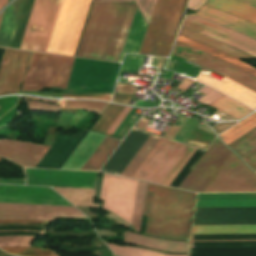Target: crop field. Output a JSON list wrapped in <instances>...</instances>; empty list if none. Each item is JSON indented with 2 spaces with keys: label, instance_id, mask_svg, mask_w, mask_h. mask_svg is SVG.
<instances>
[{
  "label": "crop field",
  "instance_id": "8",
  "mask_svg": "<svg viewBox=\"0 0 256 256\" xmlns=\"http://www.w3.org/2000/svg\"><path fill=\"white\" fill-rule=\"evenodd\" d=\"M203 192H256V175L232 153Z\"/></svg>",
  "mask_w": 256,
  "mask_h": 256
},
{
  "label": "crop field",
  "instance_id": "17",
  "mask_svg": "<svg viewBox=\"0 0 256 256\" xmlns=\"http://www.w3.org/2000/svg\"><path fill=\"white\" fill-rule=\"evenodd\" d=\"M49 147L25 142L0 141V156L21 166L34 168Z\"/></svg>",
  "mask_w": 256,
  "mask_h": 256
},
{
  "label": "crop field",
  "instance_id": "44",
  "mask_svg": "<svg viewBox=\"0 0 256 256\" xmlns=\"http://www.w3.org/2000/svg\"><path fill=\"white\" fill-rule=\"evenodd\" d=\"M135 2L149 23L156 0H135Z\"/></svg>",
  "mask_w": 256,
  "mask_h": 256
},
{
  "label": "crop field",
  "instance_id": "26",
  "mask_svg": "<svg viewBox=\"0 0 256 256\" xmlns=\"http://www.w3.org/2000/svg\"><path fill=\"white\" fill-rule=\"evenodd\" d=\"M118 142L119 140L106 136L82 170L97 171Z\"/></svg>",
  "mask_w": 256,
  "mask_h": 256
},
{
  "label": "crop field",
  "instance_id": "62",
  "mask_svg": "<svg viewBox=\"0 0 256 256\" xmlns=\"http://www.w3.org/2000/svg\"><path fill=\"white\" fill-rule=\"evenodd\" d=\"M7 0H0V10L5 6Z\"/></svg>",
  "mask_w": 256,
  "mask_h": 256
},
{
  "label": "crop field",
  "instance_id": "55",
  "mask_svg": "<svg viewBox=\"0 0 256 256\" xmlns=\"http://www.w3.org/2000/svg\"><path fill=\"white\" fill-rule=\"evenodd\" d=\"M192 83H194V81L185 78V79L182 81V83H181L177 88L185 90V89L188 88Z\"/></svg>",
  "mask_w": 256,
  "mask_h": 256
},
{
  "label": "crop field",
  "instance_id": "40",
  "mask_svg": "<svg viewBox=\"0 0 256 256\" xmlns=\"http://www.w3.org/2000/svg\"><path fill=\"white\" fill-rule=\"evenodd\" d=\"M107 103L94 101H65L64 107H80L82 109L101 113Z\"/></svg>",
  "mask_w": 256,
  "mask_h": 256
},
{
  "label": "crop field",
  "instance_id": "34",
  "mask_svg": "<svg viewBox=\"0 0 256 256\" xmlns=\"http://www.w3.org/2000/svg\"><path fill=\"white\" fill-rule=\"evenodd\" d=\"M214 138L215 136L196 127L195 130L188 137V139L185 141V144L207 149Z\"/></svg>",
  "mask_w": 256,
  "mask_h": 256
},
{
  "label": "crop field",
  "instance_id": "16",
  "mask_svg": "<svg viewBox=\"0 0 256 256\" xmlns=\"http://www.w3.org/2000/svg\"><path fill=\"white\" fill-rule=\"evenodd\" d=\"M149 136L144 131L131 129L100 171L120 175Z\"/></svg>",
  "mask_w": 256,
  "mask_h": 256
},
{
  "label": "crop field",
  "instance_id": "39",
  "mask_svg": "<svg viewBox=\"0 0 256 256\" xmlns=\"http://www.w3.org/2000/svg\"><path fill=\"white\" fill-rule=\"evenodd\" d=\"M203 153V150H196V152L193 154V156L190 158V160L187 162L184 168L180 171V173L171 183V187L178 188V186L181 184V182L184 180V178L187 176V174L190 172L192 167L195 165V163L198 161V159L201 157Z\"/></svg>",
  "mask_w": 256,
  "mask_h": 256
},
{
  "label": "crop field",
  "instance_id": "35",
  "mask_svg": "<svg viewBox=\"0 0 256 256\" xmlns=\"http://www.w3.org/2000/svg\"><path fill=\"white\" fill-rule=\"evenodd\" d=\"M36 238L25 236L0 237V247H31Z\"/></svg>",
  "mask_w": 256,
  "mask_h": 256
},
{
  "label": "crop field",
  "instance_id": "60",
  "mask_svg": "<svg viewBox=\"0 0 256 256\" xmlns=\"http://www.w3.org/2000/svg\"><path fill=\"white\" fill-rule=\"evenodd\" d=\"M101 181H102V179H99V181H98L97 191H96V195H95L96 197H98V196H99V191H100Z\"/></svg>",
  "mask_w": 256,
  "mask_h": 256
},
{
  "label": "crop field",
  "instance_id": "49",
  "mask_svg": "<svg viewBox=\"0 0 256 256\" xmlns=\"http://www.w3.org/2000/svg\"><path fill=\"white\" fill-rule=\"evenodd\" d=\"M243 160L256 171V151L243 158Z\"/></svg>",
  "mask_w": 256,
  "mask_h": 256
},
{
  "label": "crop field",
  "instance_id": "15",
  "mask_svg": "<svg viewBox=\"0 0 256 256\" xmlns=\"http://www.w3.org/2000/svg\"><path fill=\"white\" fill-rule=\"evenodd\" d=\"M256 224V208L196 209L193 225Z\"/></svg>",
  "mask_w": 256,
  "mask_h": 256
},
{
  "label": "crop field",
  "instance_id": "19",
  "mask_svg": "<svg viewBox=\"0 0 256 256\" xmlns=\"http://www.w3.org/2000/svg\"><path fill=\"white\" fill-rule=\"evenodd\" d=\"M199 17L208 19L218 24L224 25L242 34L256 39V26L246 21L238 19L234 16L218 11L211 7L204 5L197 13Z\"/></svg>",
  "mask_w": 256,
  "mask_h": 256
},
{
  "label": "crop field",
  "instance_id": "47",
  "mask_svg": "<svg viewBox=\"0 0 256 256\" xmlns=\"http://www.w3.org/2000/svg\"><path fill=\"white\" fill-rule=\"evenodd\" d=\"M118 88L116 92L134 95L136 92L134 85L117 83Z\"/></svg>",
  "mask_w": 256,
  "mask_h": 256
},
{
  "label": "crop field",
  "instance_id": "10",
  "mask_svg": "<svg viewBox=\"0 0 256 256\" xmlns=\"http://www.w3.org/2000/svg\"><path fill=\"white\" fill-rule=\"evenodd\" d=\"M221 142L218 138L213 142L211 147L202 157V159L198 162V164L194 167L191 173L187 176V178L180 185V189L187 190L192 182L196 179L199 173L203 170L206 164L210 161L213 155L217 152V150L221 146ZM232 152L229 151L225 146H221L218 152L214 155L211 161L207 164L204 170L200 173L197 179L193 182L188 190L195 192H202L206 185L210 182L216 172L220 169L223 163L227 160Z\"/></svg>",
  "mask_w": 256,
  "mask_h": 256
},
{
  "label": "crop field",
  "instance_id": "2",
  "mask_svg": "<svg viewBox=\"0 0 256 256\" xmlns=\"http://www.w3.org/2000/svg\"><path fill=\"white\" fill-rule=\"evenodd\" d=\"M91 0H35L20 48L73 55Z\"/></svg>",
  "mask_w": 256,
  "mask_h": 256
},
{
  "label": "crop field",
  "instance_id": "52",
  "mask_svg": "<svg viewBox=\"0 0 256 256\" xmlns=\"http://www.w3.org/2000/svg\"><path fill=\"white\" fill-rule=\"evenodd\" d=\"M131 97L114 94L112 101L128 104Z\"/></svg>",
  "mask_w": 256,
  "mask_h": 256
},
{
  "label": "crop field",
  "instance_id": "28",
  "mask_svg": "<svg viewBox=\"0 0 256 256\" xmlns=\"http://www.w3.org/2000/svg\"><path fill=\"white\" fill-rule=\"evenodd\" d=\"M179 34L182 35V36L188 37L190 39H193L195 41L201 42L203 44H206V45H208L210 47H213V48H215L217 50L225 52V53H227L229 55H232V56H234L236 58L254 59V58L250 57L249 55H247V54H245V53H243L241 51H238V50H236L234 48H231L229 46L221 44V43H219L217 41H214L212 39H209L207 37H204L202 35H199L197 33H194L192 31L184 29L182 27L180 29V33Z\"/></svg>",
  "mask_w": 256,
  "mask_h": 256
},
{
  "label": "crop field",
  "instance_id": "45",
  "mask_svg": "<svg viewBox=\"0 0 256 256\" xmlns=\"http://www.w3.org/2000/svg\"><path fill=\"white\" fill-rule=\"evenodd\" d=\"M112 94H63L62 98H91L110 100Z\"/></svg>",
  "mask_w": 256,
  "mask_h": 256
},
{
  "label": "crop field",
  "instance_id": "50",
  "mask_svg": "<svg viewBox=\"0 0 256 256\" xmlns=\"http://www.w3.org/2000/svg\"><path fill=\"white\" fill-rule=\"evenodd\" d=\"M25 179H0V183L3 184H17L24 185Z\"/></svg>",
  "mask_w": 256,
  "mask_h": 256
},
{
  "label": "crop field",
  "instance_id": "27",
  "mask_svg": "<svg viewBox=\"0 0 256 256\" xmlns=\"http://www.w3.org/2000/svg\"><path fill=\"white\" fill-rule=\"evenodd\" d=\"M256 233V225L193 226L191 234H237Z\"/></svg>",
  "mask_w": 256,
  "mask_h": 256
},
{
  "label": "crop field",
  "instance_id": "65",
  "mask_svg": "<svg viewBox=\"0 0 256 256\" xmlns=\"http://www.w3.org/2000/svg\"><path fill=\"white\" fill-rule=\"evenodd\" d=\"M1 15H2V13L0 14V18H1Z\"/></svg>",
  "mask_w": 256,
  "mask_h": 256
},
{
  "label": "crop field",
  "instance_id": "22",
  "mask_svg": "<svg viewBox=\"0 0 256 256\" xmlns=\"http://www.w3.org/2000/svg\"><path fill=\"white\" fill-rule=\"evenodd\" d=\"M206 5L234 14L256 24V9L235 0H208Z\"/></svg>",
  "mask_w": 256,
  "mask_h": 256
},
{
  "label": "crop field",
  "instance_id": "14",
  "mask_svg": "<svg viewBox=\"0 0 256 256\" xmlns=\"http://www.w3.org/2000/svg\"><path fill=\"white\" fill-rule=\"evenodd\" d=\"M31 52L6 49L0 68V96L19 91Z\"/></svg>",
  "mask_w": 256,
  "mask_h": 256
},
{
  "label": "crop field",
  "instance_id": "33",
  "mask_svg": "<svg viewBox=\"0 0 256 256\" xmlns=\"http://www.w3.org/2000/svg\"><path fill=\"white\" fill-rule=\"evenodd\" d=\"M147 183L139 181L132 226L139 232Z\"/></svg>",
  "mask_w": 256,
  "mask_h": 256
},
{
  "label": "crop field",
  "instance_id": "51",
  "mask_svg": "<svg viewBox=\"0 0 256 256\" xmlns=\"http://www.w3.org/2000/svg\"><path fill=\"white\" fill-rule=\"evenodd\" d=\"M206 0H190L188 7L190 9H198L200 6H202L205 3Z\"/></svg>",
  "mask_w": 256,
  "mask_h": 256
},
{
  "label": "crop field",
  "instance_id": "66",
  "mask_svg": "<svg viewBox=\"0 0 256 256\" xmlns=\"http://www.w3.org/2000/svg\"><path fill=\"white\" fill-rule=\"evenodd\" d=\"M2 159H0V161H1Z\"/></svg>",
  "mask_w": 256,
  "mask_h": 256
},
{
  "label": "crop field",
  "instance_id": "36",
  "mask_svg": "<svg viewBox=\"0 0 256 256\" xmlns=\"http://www.w3.org/2000/svg\"><path fill=\"white\" fill-rule=\"evenodd\" d=\"M4 251L19 256H57L48 248H2Z\"/></svg>",
  "mask_w": 256,
  "mask_h": 256
},
{
  "label": "crop field",
  "instance_id": "46",
  "mask_svg": "<svg viewBox=\"0 0 256 256\" xmlns=\"http://www.w3.org/2000/svg\"><path fill=\"white\" fill-rule=\"evenodd\" d=\"M131 109L132 108H130V107H125V109L122 111V113L116 119V121L113 123V125L110 127V129L107 131L106 135L112 136V134L115 132V130L118 128V126L122 123V121L125 119V117L128 115V113L131 111Z\"/></svg>",
  "mask_w": 256,
  "mask_h": 256
},
{
  "label": "crop field",
  "instance_id": "59",
  "mask_svg": "<svg viewBox=\"0 0 256 256\" xmlns=\"http://www.w3.org/2000/svg\"><path fill=\"white\" fill-rule=\"evenodd\" d=\"M112 1H132V0H93L92 2H112Z\"/></svg>",
  "mask_w": 256,
  "mask_h": 256
},
{
  "label": "crop field",
  "instance_id": "4",
  "mask_svg": "<svg viewBox=\"0 0 256 256\" xmlns=\"http://www.w3.org/2000/svg\"><path fill=\"white\" fill-rule=\"evenodd\" d=\"M186 0H157L140 53L169 55Z\"/></svg>",
  "mask_w": 256,
  "mask_h": 256
},
{
  "label": "crop field",
  "instance_id": "21",
  "mask_svg": "<svg viewBox=\"0 0 256 256\" xmlns=\"http://www.w3.org/2000/svg\"><path fill=\"white\" fill-rule=\"evenodd\" d=\"M59 217L87 218L82 214L74 213L0 209V219L45 220L54 222Z\"/></svg>",
  "mask_w": 256,
  "mask_h": 256
},
{
  "label": "crop field",
  "instance_id": "9",
  "mask_svg": "<svg viewBox=\"0 0 256 256\" xmlns=\"http://www.w3.org/2000/svg\"><path fill=\"white\" fill-rule=\"evenodd\" d=\"M172 54L215 71L256 92V77L226 62L177 42Z\"/></svg>",
  "mask_w": 256,
  "mask_h": 256
},
{
  "label": "crop field",
  "instance_id": "18",
  "mask_svg": "<svg viewBox=\"0 0 256 256\" xmlns=\"http://www.w3.org/2000/svg\"><path fill=\"white\" fill-rule=\"evenodd\" d=\"M196 80L208 85L209 87L253 108L256 109V93L244 88L243 86L224 78L221 82L201 74Z\"/></svg>",
  "mask_w": 256,
  "mask_h": 256
},
{
  "label": "crop field",
  "instance_id": "58",
  "mask_svg": "<svg viewBox=\"0 0 256 256\" xmlns=\"http://www.w3.org/2000/svg\"><path fill=\"white\" fill-rule=\"evenodd\" d=\"M148 120H146V119H142L141 120V122L137 125V126H135V127H138V128H142V129H144L145 128V126L148 124Z\"/></svg>",
  "mask_w": 256,
  "mask_h": 256
},
{
  "label": "crop field",
  "instance_id": "12",
  "mask_svg": "<svg viewBox=\"0 0 256 256\" xmlns=\"http://www.w3.org/2000/svg\"><path fill=\"white\" fill-rule=\"evenodd\" d=\"M182 25L256 57V40L252 38L194 15L185 18Z\"/></svg>",
  "mask_w": 256,
  "mask_h": 256
},
{
  "label": "crop field",
  "instance_id": "43",
  "mask_svg": "<svg viewBox=\"0 0 256 256\" xmlns=\"http://www.w3.org/2000/svg\"><path fill=\"white\" fill-rule=\"evenodd\" d=\"M144 56L125 54L124 62L121 70L124 71H137L143 63Z\"/></svg>",
  "mask_w": 256,
  "mask_h": 256
},
{
  "label": "crop field",
  "instance_id": "13",
  "mask_svg": "<svg viewBox=\"0 0 256 256\" xmlns=\"http://www.w3.org/2000/svg\"><path fill=\"white\" fill-rule=\"evenodd\" d=\"M0 202L72 206L50 188L0 185Z\"/></svg>",
  "mask_w": 256,
  "mask_h": 256
},
{
  "label": "crop field",
  "instance_id": "20",
  "mask_svg": "<svg viewBox=\"0 0 256 256\" xmlns=\"http://www.w3.org/2000/svg\"><path fill=\"white\" fill-rule=\"evenodd\" d=\"M125 242L153 247L169 252L188 253V242L170 241L153 237L141 236L132 232L126 231L123 234Z\"/></svg>",
  "mask_w": 256,
  "mask_h": 256
},
{
  "label": "crop field",
  "instance_id": "64",
  "mask_svg": "<svg viewBox=\"0 0 256 256\" xmlns=\"http://www.w3.org/2000/svg\"><path fill=\"white\" fill-rule=\"evenodd\" d=\"M45 230H46V228H45ZM45 230H44L42 233H44V232H45ZM3 232H6V231H3ZM42 233H41V234H42ZM41 234H40V235H41Z\"/></svg>",
  "mask_w": 256,
  "mask_h": 256
},
{
  "label": "crop field",
  "instance_id": "25",
  "mask_svg": "<svg viewBox=\"0 0 256 256\" xmlns=\"http://www.w3.org/2000/svg\"><path fill=\"white\" fill-rule=\"evenodd\" d=\"M66 200L76 206L99 207L100 204H92L95 190L53 188ZM101 206V205H100Z\"/></svg>",
  "mask_w": 256,
  "mask_h": 256
},
{
  "label": "crop field",
  "instance_id": "31",
  "mask_svg": "<svg viewBox=\"0 0 256 256\" xmlns=\"http://www.w3.org/2000/svg\"><path fill=\"white\" fill-rule=\"evenodd\" d=\"M228 146L237 152L241 158L252 152L256 149V128Z\"/></svg>",
  "mask_w": 256,
  "mask_h": 256
},
{
  "label": "crop field",
  "instance_id": "53",
  "mask_svg": "<svg viewBox=\"0 0 256 256\" xmlns=\"http://www.w3.org/2000/svg\"><path fill=\"white\" fill-rule=\"evenodd\" d=\"M236 122L233 123H225V124H216L214 126H212L217 132L218 134L221 133L222 131H224L225 129H227L228 127H230L231 125H233Z\"/></svg>",
  "mask_w": 256,
  "mask_h": 256
},
{
  "label": "crop field",
  "instance_id": "32",
  "mask_svg": "<svg viewBox=\"0 0 256 256\" xmlns=\"http://www.w3.org/2000/svg\"><path fill=\"white\" fill-rule=\"evenodd\" d=\"M106 243V242H105ZM108 247L118 256H188V255H168L152 250L134 248V247H125L106 243Z\"/></svg>",
  "mask_w": 256,
  "mask_h": 256
},
{
  "label": "crop field",
  "instance_id": "1",
  "mask_svg": "<svg viewBox=\"0 0 256 256\" xmlns=\"http://www.w3.org/2000/svg\"><path fill=\"white\" fill-rule=\"evenodd\" d=\"M135 4L93 3L75 56L118 62ZM145 22L136 8L124 52L138 53Z\"/></svg>",
  "mask_w": 256,
  "mask_h": 256
},
{
  "label": "crop field",
  "instance_id": "23",
  "mask_svg": "<svg viewBox=\"0 0 256 256\" xmlns=\"http://www.w3.org/2000/svg\"><path fill=\"white\" fill-rule=\"evenodd\" d=\"M176 41L180 42L182 44L188 45L190 47L196 48L198 50H201V51H203L205 53H208V54H210L212 56L220 58V59H222L224 61H227V62H229V63H231V64H233V65H235V66H237V67H239V68H241V69H243V70H245V71H247V72H249V73H251V74L256 76V68H254V67H252V66H250V65H248V64H246V63H244V62H242V61H240V60H238V59H236V58H234L232 56H229V55H227L225 53H222L220 51H217V50H215L213 48H210V47H208L206 45H203L201 43L195 42V41L190 40L188 38L182 37L180 35L178 36Z\"/></svg>",
  "mask_w": 256,
  "mask_h": 256
},
{
  "label": "crop field",
  "instance_id": "6",
  "mask_svg": "<svg viewBox=\"0 0 256 256\" xmlns=\"http://www.w3.org/2000/svg\"><path fill=\"white\" fill-rule=\"evenodd\" d=\"M187 147L161 138L132 178L160 184Z\"/></svg>",
  "mask_w": 256,
  "mask_h": 256
},
{
  "label": "crop field",
  "instance_id": "57",
  "mask_svg": "<svg viewBox=\"0 0 256 256\" xmlns=\"http://www.w3.org/2000/svg\"><path fill=\"white\" fill-rule=\"evenodd\" d=\"M256 8V0H237Z\"/></svg>",
  "mask_w": 256,
  "mask_h": 256
},
{
  "label": "crop field",
  "instance_id": "5",
  "mask_svg": "<svg viewBox=\"0 0 256 256\" xmlns=\"http://www.w3.org/2000/svg\"><path fill=\"white\" fill-rule=\"evenodd\" d=\"M74 58L33 53L21 90L66 88Z\"/></svg>",
  "mask_w": 256,
  "mask_h": 256
},
{
  "label": "crop field",
  "instance_id": "38",
  "mask_svg": "<svg viewBox=\"0 0 256 256\" xmlns=\"http://www.w3.org/2000/svg\"><path fill=\"white\" fill-rule=\"evenodd\" d=\"M0 208H11V209H39L47 211H63V212H75L80 213L74 207H63V206H42V205H22V204H1Z\"/></svg>",
  "mask_w": 256,
  "mask_h": 256
},
{
  "label": "crop field",
  "instance_id": "48",
  "mask_svg": "<svg viewBox=\"0 0 256 256\" xmlns=\"http://www.w3.org/2000/svg\"><path fill=\"white\" fill-rule=\"evenodd\" d=\"M222 94H219L215 91H210L208 94H206L204 97H202L201 99H199L198 101L201 102L202 104H210L211 102H213L215 99H217L218 97H220Z\"/></svg>",
  "mask_w": 256,
  "mask_h": 256
},
{
  "label": "crop field",
  "instance_id": "3",
  "mask_svg": "<svg viewBox=\"0 0 256 256\" xmlns=\"http://www.w3.org/2000/svg\"><path fill=\"white\" fill-rule=\"evenodd\" d=\"M195 193L149 183L143 215L146 234L187 239Z\"/></svg>",
  "mask_w": 256,
  "mask_h": 256
},
{
  "label": "crop field",
  "instance_id": "56",
  "mask_svg": "<svg viewBox=\"0 0 256 256\" xmlns=\"http://www.w3.org/2000/svg\"><path fill=\"white\" fill-rule=\"evenodd\" d=\"M0 222H34V223L50 224V223H47V222L26 221V220H0Z\"/></svg>",
  "mask_w": 256,
  "mask_h": 256
},
{
  "label": "crop field",
  "instance_id": "41",
  "mask_svg": "<svg viewBox=\"0 0 256 256\" xmlns=\"http://www.w3.org/2000/svg\"><path fill=\"white\" fill-rule=\"evenodd\" d=\"M25 99L36 100V101H45V102H51L54 104H59V106H53V105H49V104L27 101L29 109L59 113L61 101L44 100V99L30 98V97H25Z\"/></svg>",
  "mask_w": 256,
  "mask_h": 256
},
{
  "label": "crop field",
  "instance_id": "42",
  "mask_svg": "<svg viewBox=\"0 0 256 256\" xmlns=\"http://www.w3.org/2000/svg\"><path fill=\"white\" fill-rule=\"evenodd\" d=\"M254 127H256V117H254L253 119H251L241 127L237 128L236 130H234L233 132H231L230 134H228L222 139L224 143L228 145L234 140H236L237 138H239L240 136H242L243 134H245L246 132L253 129Z\"/></svg>",
  "mask_w": 256,
  "mask_h": 256
},
{
  "label": "crop field",
  "instance_id": "54",
  "mask_svg": "<svg viewBox=\"0 0 256 256\" xmlns=\"http://www.w3.org/2000/svg\"><path fill=\"white\" fill-rule=\"evenodd\" d=\"M254 116H256V113H254L253 115H251L250 117H248L247 119L241 121L240 123H238L237 125H235L234 127H232L231 129H229L228 131H226L225 133H223L221 136L224 137L225 135H227L228 133H230L231 131H233L234 129H236L237 127H239L240 125L244 124L245 122H247L248 120H250L251 118H253Z\"/></svg>",
  "mask_w": 256,
  "mask_h": 256
},
{
  "label": "crop field",
  "instance_id": "11",
  "mask_svg": "<svg viewBox=\"0 0 256 256\" xmlns=\"http://www.w3.org/2000/svg\"><path fill=\"white\" fill-rule=\"evenodd\" d=\"M26 185L95 188L98 173L25 169Z\"/></svg>",
  "mask_w": 256,
  "mask_h": 256
},
{
  "label": "crop field",
  "instance_id": "24",
  "mask_svg": "<svg viewBox=\"0 0 256 256\" xmlns=\"http://www.w3.org/2000/svg\"><path fill=\"white\" fill-rule=\"evenodd\" d=\"M191 256H256V247L191 248Z\"/></svg>",
  "mask_w": 256,
  "mask_h": 256
},
{
  "label": "crop field",
  "instance_id": "63",
  "mask_svg": "<svg viewBox=\"0 0 256 256\" xmlns=\"http://www.w3.org/2000/svg\"><path fill=\"white\" fill-rule=\"evenodd\" d=\"M192 237L193 235H191V247H192ZM215 241H238V240H215Z\"/></svg>",
  "mask_w": 256,
  "mask_h": 256
},
{
  "label": "crop field",
  "instance_id": "7",
  "mask_svg": "<svg viewBox=\"0 0 256 256\" xmlns=\"http://www.w3.org/2000/svg\"><path fill=\"white\" fill-rule=\"evenodd\" d=\"M137 184L136 180L104 174L99 196L103 208L131 224Z\"/></svg>",
  "mask_w": 256,
  "mask_h": 256
},
{
  "label": "crop field",
  "instance_id": "37",
  "mask_svg": "<svg viewBox=\"0 0 256 256\" xmlns=\"http://www.w3.org/2000/svg\"><path fill=\"white\" fill-rule=\"evenodd\" d=\"M195 150L196 148H193L191 146L188 147V149L185 151L182 157L178 160V162L175 164L172 170L168 173V175L162 181L161 183L162 185H166V186L170 185V183L173 181V179L176 177V175L179 173L182 167L186 164V162L189 160V158L192 156Z\"/></svg>",
  "mask_w": 256,
  "mask_h": 256
},
{
  "label": "crop field",
  "instance_id": "30",
  "mask_svg": "<svg viewBox=\"0 0 256 256\" xmlns=\"http://www.w3.org/2000/svg\"><path fill=\"white\" fill-rule=\"evenodd\" d=\"M160 137H156L151 135L147 142L143 145L140 151L136 154V156L132 159L129 165L122 172L121 176L131 178L156 143L159 141Z\"/></svg>",
  "mask_w": 256,
  "mask_h": 256
},
{
  "label": "crop field",
  "instance_id": "61",
  "mask_svg": "<svg viewBox=\"0 0 256 256\" xmlns=\"http://www.w3.org/2000/svg\"><path fill=\"white\" fill-rule=\"evenodd\" d=\"M210 90H211V89H209V88H207V87L205 86V87H203V88L200 90V92L206 94V93H208Z\"/></svg>",
  "mask_w": 256,
  "mask_h": 256
},
{
  "label": "crop field",
  "instance_id": "29",
  "mask_svg": "<svg viewBox=\"0 0 256 256\" xmlns=\"http://www.w3.org/2000/svg\"><path fill=\"white\" fill-rule=\"evenodd\" d=\"M209 106L218 109L214 113L223 111L237 119H241L246 115L250 114L251 112H253L252 110L244 107L243 105L233 101L232 99L224 95L221 96L219 99H217L215 102H213Z\"/></svg>",
  "mask_w": 256,
  "mask_h": 256
}]
</instances>
